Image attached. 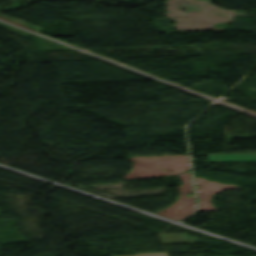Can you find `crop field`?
I'll return each mask as SVG.
<instances>
[{
  "mask_svg": "<svg viewBox=\"0 0 256 256\" xmlns=\"http://www.w3.org/2000/svg\"><path fill=\"white\" fill-rule=\"evenodd\" d=\"M210 162L256 161V153L208 155Z\"/></svg>",
  "mask_w": 256,
  "mask_h": 256,
  "instance_id": "1",
  "label": "crop field"
},
{
  "mask_svg": "<svg viewBox=\"0 0 256 256\" xmlns=\"http://www.w3.org/2000/svg\"><path fill=\"white\" fill-rule=\"evenodd\" d=\"M124 256H167V253L159 252V253H145V254H136V255H124Z\"/></svg>",
  "mask_w": 256,
  "mask_h": 256,
  "instance_id": "2",
  "label": "crop field"
}]
</instances>
